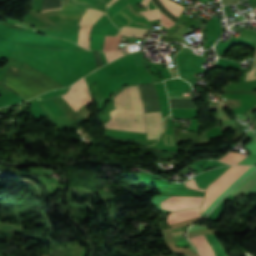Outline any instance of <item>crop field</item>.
Wrapping results in <instances>:
<instances>
[{
    "label": "crop field",
    "instance_id": "2",
    "mask_svg": "<svg viewBox=\"0 0 256 256\" xmlns=\"http://www.w3.org/2000/svg\"><path fill=\"white\" fill-rule=\"evenodd\" d=\"M226 169L221 175H219L213 182H211L206 189L212 186L220 177H222L229 169ZM242 166H234L229 170L221 179H219L212 187H210L205 194L204 201L211 196L223 183H225L236 171H238ZM250 166H243L238 172H236L224 185H222L211 197H209L203 204L201 213L235 180L237 179L245 170ZM256 170L255 166H251L246 172H244L236 181H234L202 214L204 217L218 202L219 200L227 194L236 184L242 181L250 173Z\"/></svg>",
    "mask_w": 256,
    "mask_h": 256
},
{
    "label": "crop field",
    "instance_id": "16",
    "mask_svg": "<svg viewBox=\"0 0 256 256\" xmlns=\"http://www.w3.org/2000/svg\"><path fill=\"white\" fill-rule=\"evenodd\" d=\"M159 12H160V15H161V22H162L163 24H165L168 28H169L170 26L176 24V23H174L173 21H171L168 17H166L160 10H159ZM162 23H161V24H162ZM166 26H165V27H166Z\"/></svg>",
    "mask_w": 256,
    "mask_h": 256
},
{
    "label": "crop field",
    "instance_id": "12",
    "mask_svg": "<svg viewBox=\"0 0 256 256\" xmlns=\"http://www.w3.org/2000/svg\"><path fill=\"white\" fill-rule=\"evenodd\" d=\"M155 5L159 7V9L166 15L168 16L171 20L177 23V17L173 16L162 4L159 0H153Z\"/></svg>",
    "mask_w": 256,
    "mask_h": 256
},
{
    "label": "crop field",
    "instance_id": "10",
    "mask_svg": "<svg viewBox=\"0 0 256 256\" xmlns=\"http://www.w3.org/2000/svg\"><path fill=\"white\" fill-rule=\"evenodd\" d=\"M162 4L175 16H179L182 12L183 7L170 1V0H160Z\"/></svg>",
    "mask_w": 256,
    "mask_h": 256
},
{
    "label": "crop field",
    "instance_id": "13",
    "mask_svg": "<svg viewBox=\"0 0 256 256\" xmlns=\"http://www.w3.org/2000/svg\"><path fill=\"white\" fill-rule=\"evenodd\" d=\"M140 13L144 15L149 21L159 18V12L157 9L151 11H144Z\"/></svg>",
    "mask_w": 256,
    "mask_h": 256
},
{
    "label": "crop field",
    "instance_id": "1",
    "mask_svg": "<svg viewBox=\"0 0 256 256\" xmlns=\"http://www.w3.org/2000/svg\"><path fill=\"white\" fill-rule=\"evenodd\" d=\"M116 109L144 112L137 86L127 87L114 97ZM114 110L111 121L104 123L105 128L146 133L143 113Z\"/></svg>",
    "mask_w": 256,
    "mask_h": 256
},
{
    "label": "crop field",
    "instance_id": "3",
    "mask_svg": "<svg viewBox=\"0 0 256 256\" xmlns=\"http://www.w3.org/2000/svg\"><path fill=\"white\" fill-rule=\"evenodd\" d=\"M62 97L75 111H77L80 106L90 103L91 96L85 78L80 79L76 84L72 85L69 92Z\"/></svg>",
    "mask_w": 256,
    "mask_h": 256
},
{
    "label": "crop field",
    "instance_id": "4",
    "mask_svg": "<svg viewBox=\"0 0 256 256\" xmlns=\"http://www.w3.org/2000/svg\"><path fill=\"white\" fill-rule=\"evenodd\" d=\"M147 139H157L163 126L160 112L145 113Z\"/></svg>",
    "mask_w": 256,
    "mask_h": 256
},
{
    "label": "crop field",
    "instance_id": "7",
    "mask_svg": "<svg viewBox=\"0 0 256 256\" xmlns=\"http://www.w3.org/2000/svg\"><path fill=\"white\" fill-rule=\"evenodd\" d=\"M254 183H256V172L244 180L241 184H239L235 189L231 191V193L241 196L245 193Z\"/></svg>",
    "mask_w": 256,
    "mask_h": 256
},
{
    "label": "crop field",
    "instance_id": "8",
    "mask_svg": "<svg viewBox=\"0 0 256 256\" xmlns=\"http://www.w3.org/2000/svg\"><path fill=\"white\" fill-rule=\"evenodd\" d=\"M91 28H80L78 36V45L89 49V32Z\"/></svg>",
    "mask_w": 256,
    "mask_h": 256
},
{
    "label": "crop field",
    "instance_id": "11",
    "mask_svg": "<svg viewBox=\"0 0 256 256\" xmlns=\"http://www.w3.org/2000/svg\"><path fill=\"white\" fill-rule=\"evenodd\" d=\"M121 31L124 35H139V36H145V33L147 30L144 29H137V28H128V27H122Z\"/></svg>",
    "mask_w": 256,
    "mask_h": 256
},
{
    "label": "crop field",
    "instance_id": "17",
    "mask_svg": "<svg viewBox=\"0 0 256 256\" xmlns=\"http://www.w3.org/2000/svg\"><path fill=\"white\" fill-rule=\"evenodd\" d=\"M148 2H149V0H142V2H141V5L146 6L147 10H149Z\"/></svg>",
    "mask_w": 256,
    "mask_h": 256
},
{
    "label": "crop field",
    "instance_id": "18",
    "mask_svg": "<svg viewBox=\"0 0 256 256\" xmlns=\"http://www.w3.org/2000/svg\"><path fill=\"white\" fill-rule=\"evenodd\" d=\"M117 0H112L109 4H107L108 7H110L113 3H115Z\"/></svg>",
    "mask_w": 256,
    "mask_h": 256
},
{
    "label": "crop field",
    "instance_id": "14",
    "mask_svg": "<svg viewBox=\"0 0 256 256\" xmlns=\"http://www.w3.org/2000/svg\"><path fill=\"white\" fill-rule=\"evenodd\" d=\"M124 54H126V52H105L108 62H110Z\"/></svg>",
    "mask_w": 256,
    "mask_h": 256
},
{
    "label": "crop field",
    "instance_id": "5",
    "mask_svg": "<svg viewBox=\"0 0 256 256\" xmlns=\"http://www.w3.org/2000/svg\"><path fill=\"white\" fill-rule=\"evenodd\" d=\"M104 13L88 9L85 14L83 15L79 25L82 27H92V25L102 16Z\"/></svg>",
    "mask_w": 256,
    "mask_h": 256
},
{
    "label": "crop field",
    "instance_id": "6",
    "mask_svg": "<svg viewBox=\"0 0 256 256\" xmlns=\"http://www.w3.org/2000/svg\"><path fill=\"white\" fill-rule=\"evenodd\" d=\"M190 240L196 244L202 256H214V253L204 235L190 238Z\"/></svg>",
    "mask_w": 256,
    "mask_h": 256
},
{
    "label": "crop field",
    "instance_id": "9",
    "mask_svg": "<svg viewBox=\"0 0 256 256\" xmlns=\"http://www.w3.org/2000/svg\"><path fill=\"white\" fill-rule=\"evenodd\" d=\"M210 245L215 251L216 256H227V254L224 252L220 242L213 236V235H206Z\"/></svg>",
    "mask_w": 256,
    "mask_h": 256
},
{
    "label": "crop field",
    "instance_id": "15",
    "mask_svg": "<svg viewBox=\"0 0 256 256\" xmlns=\"http://www.w3.org/2000/svg\"><path fill=\"white\" fill-rule=\"evenodd\" d=\"M255 64H256V53H255V56H254V61H253V67H252V70L254 71L255 69ZM253 71H250L246 74V78H245V81L246 80H250V79H255L256 78V69H255V72Z\"/></svg>",
    "mask_w": 256,
    "mask_h": 256
}]
</instances>
